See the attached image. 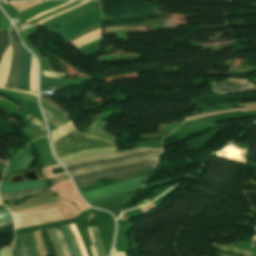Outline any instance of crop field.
Returning a JSON list of instances; mask_svg holds the SVG:
<instances>
[{
    "instance_id": "8",
    "label": "crop field",
    "mask_w": 256,
    "mask_h": 256,
    "mask_svg": "<svg viewBox=\"0 0 256 256\" xmlns=\"http://www.w3.org/2000/svg\"><path fill=\"white\" fill-rule=\"evenodd\" d=\"M146 149H150V148L143 147V148H136V149H133V150L123 151V152L87 155V156H82V157L75 158V159L67 161V162H63L62 164L64 166H66V165L79 163V162H84V161L119 157V156H124V155L130 154V153H133V152L142 151V150H146Z\"/></svg>"
},
{
    "instance_id": "6",
    "label": "crop field",
    "mask_w": 256,
    "mask_h": 256,
    "mask_svg": "<svg viewBox=\"0 0 256 256\" xmlns=\"http://www.w3.org/2000/svg\"><path fill=\"white\" fill-rule=\"evenodd\" d=\"M30 147L27 145L18 151L9 161L5 172H15L20 170H28L33 162V157L29 153Z\"/></svg>"
},
{
    "instance_id": "19",
    "label": "crop field",
    "mask_w": 256,
    "mask_h": 256,
    "mask_svg": "<svg viewBox=\"0 0 256 256\" xmlns=\"http://www.w3.org/2000/svg\"><path fill=\"white\" fill-rule=\"evenodd\" d=\"M75 129V127L72 125L71 122H68L67 124H65L64 126L58 128V129H55L53 132H52V135H53V140L61 137L62 135L68 133L69 131Z\"/></svg>"
},
{
    "instance_id": "31",
    "label": "crop field",
    "mask_w": 256,
    "mask_h": 256,
    "mask_svg": "<svg viewBox=\"0 0 256 256\" xmlns=\"http://www.w3.org/2000/svg\"><path fill=\"white\" fill-rule=\"evenodd\" d=\"M8 219H12L11 214L0 216V222Z\"/></svg>"
},
{
    "instance_id": "4",
    "label": "crop field",
    "mask_w": 256,
    "mask_h": 256,
    "mask_svg": "<svg viewBox=\"0 0 256 256\" xmlns=\"http://www.w3.org/2000/svg\"><path fill=\"white\" fill-rule=\"evenodd\" d=\"M10 37H11V44L13 47V56L10 64L9 76L4 88L18 90L21 52H20L19 43L13 33V30H10Z\"/></svg>"
},
{
    "instance_id": "22",
    "label": "crop field",
    "mask_w": 256,
    "mask_h": 256,
    "mask_svg": "<svg viewBox=\"0 0 256 256\" xmlns=\"http://www.w3.org/2000/svg\"><path fill=\"white\" fill-rule=\"evenodd\" d=\"M31 63H32V68H31V73H30V91H32V70H33V57L31 56ZM33 92L37 93V66L36 62L34 59V71H33Z\"/></svg>"
},
{
    "instance_id": "26",
    "label": "crop field",
    "mask_w": 256,
    "mask_h": 256,
    "mask_svg": "<svg viewBox=\"0 0 256 256\" xmlns=\"http://www.w3.org/2000/svg\"><path fill=\"white\" fill-rule=\"evenodd\" d=\"M44 114L46 118L56 127L63 125L62 122H60L56 117H54L50 112H48L46 109L43 108Z\"/></svg>"
},
{
    "instance_id": "32",
    "label": "crop field",
    "mask_w": 256,
    "mask_h": 256,
    "mask_svg": "<svg viewBox=\"0 0 256 256\" xmlns=\"http://www.w3.org/2000/svg\"><path fill=\"white\" fill-rule=\"evenodd\" d=\"M8 247H4L0 250V256H7Z\"/></svg>"
},
{
    "instance_id": "14",
    "label": "crop field",
    "mask_w": 256,
    "mask_h": 256,
    "mask_svg": "<svg viewBox=\"0 0 256 256\" xmlns=\"http://www.w3.org/2000/svg\"><path fill=\"white\" fill-rule=\"evenodd\" d=\"M43 185H45L43 181H33V182L19 183V184H1L0 194L10 192V191L20 190V189H25V188L43 186Z\"/></svg>"
},
{
    "instance_id": "34",
    "label": "crop field",
    "mask_w": 256,
    "mask_h": 256,
    "mask_svg": "<svg viewBox=\"0 0 256 256\" xmlns=\"http://www.w3.org/2000/svg\"><path fill=\"white\" fill-rule=\"evenodd\" d=\"M9 212L7 211V210H2V211H0V215H2V214H8Z\"/></svg>"
},
{
    "instance_id": "28",
    "label": "crop field",
    "mask_w": 256,
    "mask_h": 256,
    "mask_svg": "<svg viewBox=\"0 0 256 256\" xmlns=\"http://www.w3.org/2000/svg\"><path fill=\"white\" fill-rule=\"evenodd\" d=\"M66 179H69V177L67 176V174L65 175H62V176H59V177H56V178H52V179H49V181L53 184L57 183V182H60V181H63V180H66Z\"/></svg>"
},
{
    "instance_id": "3",
    "label": "crop field",
    "mask_w": 256,
    "mask_h": 256,
    "mask_svg": "<svg viewBox=\"0 0 256 256\" xmlns=\"http://www.w3.org/2000/svg\"><path fill=\"white\" fill-rule=\"evenodd\" d=\"M146 176L135 178V179L125 181L122 183L105 186V187L98 188L95 190L83 192L81 194L84 196L86 201L90 202V201H93V200H96V199H99V198H102V197H105V196H108V195H111L114 193L141 187L144 183Z\"/></svg>"
},
{
    "instance_id": "1",
    "label": "crop field",
    "mask_w": 256,
    "mask_h": 256,
    "mask_svg": "<svg viewBox=\"0 0 256 256\" xmlns=\"http://www.w3.org/2000/svg\"><path fill=\"white\" fill-rule=\"evenodd\" d=\"M57 158L82 150L115 146L114 144L77 132L76 130L52 142Z\"/></svg>"
},
{
    "instance_id": "5",
    "label": "crop field",
    "mask_w": 256,
    "mask_h": 256,
    "mask_svg": "<svg viewBox=\"0 0 256 256\" xmlns=\"http://www.w3.org/2000/svg\"><path fill=\"white\" fill-rule=\"evenodd\" d=\"M213 90L217 93L224 92H239V91H248L255 90L256 87L251 85L248 80L245 79H234L229 78L227 81H223L220 83L212 82Z\"/></svg>"
},
{
    "instance_id": "12",
    "label": "crop field",
    "mask_w": 256,
    "mask_h": 256,
    "mask_svg": "<svg viewBox=\"0 0 256 256\" xmlns=\"http://www.w3.org/2000/svg\"><path fill=\"white\" fill-rule=\"evenodd\" d=\"M99 8H100V3L98 2V3H96L94 5H91V6L87 7V8H84V9L79 10L77 12H74V13H72L70 15H67V16H65V17H63V18H61V19H59V20H57V21H55V22L45 26V27L50 31V30H52V29H54V28H56V27H58L60 25H63V24H65V23H67V22H69L71 20H74V19H76V18H78V17H80L82 15H85V14H87V13L93 11V10L99 9Z\"/></svg>"
},
{
    "instance_id": "21",
    "label": "crop field",
    "mask_w": 256,
    "mask_h": 256,
    "mask_svg": "<svg viewBox=\"0 0 256 256\" xmlns=\"http://www.w3.org/2000/svg\"><path fill=\"white\" fill-rule=\"evenodd\" d=\"M65 256H71L68 245L59 227L54 228Z\"/></svg>"
},
{
    "instance_id": "18",
    "label": "crop field",
    "mask_w": 256,
    "mask_h": 256,
    "mask_svg": "<svg viewBox=\"0 0 256 256\" xmlns=\"http://www.w3.org/2000/svg\"><path fill=\"white\" fill-rule=\"evenodd\" d=\"M57 80L52 79V78H48V77H41V84L47 85V86L58 87V88H61V89L65 88V87L72 86L70 84H67V83L61 82V81H57Z\"/></svg>"
},
{
    "instance_id": "35",
    "label": "crop field",
    "mask_w": 256,
    "mask_h": 256,
    "mask_svg": "<svg viewBox=\"0 0 256 256\" xmlns=\"http://www.w3.org/2000/svg\"><path fill=\"white\" fill-rule=\"evenodd\" d=\"M249 248H251V249H255L256 250V246L255 245H250V247Z\"/></svg>"
},
{
    "instance_id": "25",
    "label": "crop field",
    "mask_w": 256,
    "mask_h": 256,
    "mask_svg": "<svg viewBox=\"0 0 256 256\" xmlns=\"http://www.w3.org/2000/svg\"><path fill=\"white\" fill-rule=\"evenodd\" d=\"M25 120L27 122H29L30 124H32L34 127H36L38 130H40L43 134H45L47 136L45 126H43L42 124L37 122L35 119L30 117L29 115L27 116V118Z\"/></svg>"
},
{
    "instance_id": "40",
    "label": "crop field",
    "mask_w": 256,
    "mask_h": 256,
    "mask_svg": "<svg viewBox=\"0 0 256 256\" xmlns=\"http://www.w3.org/2000/svg\"><path fill=\"white\" fill-rule=\"evenodd\" d=\"M255 234H256V230H255Z\"/></svg>"
},
{
    "instance_id": "16",
    "label": "crop field",
    "mask_w": 256,
    "mask_h": 256,
    "mask_svg": "<svg viewBox=\"0 0 256 256\" xmlns=\"http://www.w3.org/2000/svg\"><path fill=\"white\" fill-rule=\"evenodd\" d=\"M87 230H88L90 239L93 243V245H91L93 256H105L100 238L97 234V230H94V229H87Z\"/></svg>"
},
{
    "instance_id": "9",
    "label": "crop field",
    "mask_w": 256,
    "mask_h": 256,
    "mask_svg": "<svg viewBox=\"0 0 256 256\" xmlns=\"http://www.w3.org/2000/svg\"><path fill=\"white\" fill-rule=\"evenodd\" d=\"M45 192H48V190L45 188V186H43L39 188L25 189V190L2 194L0 195V198H1V202L4 203V202L28 198L41 193H45Z\"/></svg>"
},
{
    "instance_id": "37",
    "label": "crop field",
    "mask_w": 256,
    "mask_h": 256,
    "mask_svg": "<svg viewBox=\"0 0 256 256\" xmlns=\"http://www.w3.org/2000/svg\"><path fill=\"white\" fill-rule=\"evenodd\" d=\"M250 243L256 244V241L252 239Z\"/></svg>"
},
{
    "instance_id": "23",
    "label": "crop field",
    "mask_w": 256,
    "mask_h": 256,
    "mask_svg": "<svg viewBox=\"0 0 256 256\" xmlns=\"http://www.w3.org/2000/svg\"><path fill=\"white\" fill-rule=\"evenodd\" d=\"M43 97L46 98L47 100L53 102L54 104H56L60 109H62V110L67 114V116H66L57 106H55V105L52 104L51 102L47 101V100L44 99ZM41 100H43L44 102H46L47 104H49L51 107H53L56 111H58L61 115H63L66 119H68V120L70 121V119H69V114H68L61 106H59L56 102H54L52 99H50V98H48L47 96L41 94Z\"/></svg>"
},
{
    "instance_id": "2",
    "label": "crop field",
    "mask_w": 256,
    "mask_h": 256,
    "mask_svg": "<svg viewBox=\"0 0 256 256\" xmlns=\"http://www.w3.org/2000/svg\"><path fill=\"white\" fill-rule=\"evenodd\" d=\"M158 158L145 160L137 163H133L126 166L104 169L100 171L89 172L83 175L73 177L77 188L86 184L102 181L105 179L116 178L139 171L154 168L157 164Z\"/></svg>"
},
{
    "instance_id": "30",
    "label": "crop field",
    "mask_w": 256,
    "mask_h": 256,
    "mask_svg": "<svg viewBox=\"0 0 256 256\" xmlns=\"http://www.w3.org/2000/svg\"><path fill=\"white\" fill-rule=\"evenodd\" d=\"M100 38H101V35H100V36H97V37H95V38H93V39H91V40H89V41H87V42H85V43H83V44L77 46V47L80 48V47H82V46H84V45H86V44H88V43H90V42H92V41H94V40H96V39H100Z\"/></svg>"
},
{
    "instance_id": "38",
    "label": "crop field",
    "mask_w": 256,
    "mask_h": 256,
    "mask_svg": "<svg viewBox=\"0 0 256 256\" xmlns=\"http://www.w3.org/2000/svg\"><path fill=\"white\" fill-rule=\"evenodd\" d=\"M220 256H229V255H225V254H222V253H221V255H220Z\"/></svg>"
},
{
    "instance_id": "36",
    "label": "crop field",
    "mask_w": 256,
    "mask_h": 256,
    "mask_svg": "<svg viewBox=\"0 0 256 256\" xmlns=\"http://www.w3.org/2000/svg\"><path fill=\"white\" fill-rule=\"evenodd\" d=\"M117 256H125L124 253H117Z\"/></svg>"
},
{
    "instance_id": "24",
    "label": "crop field",
    "mask_w": 256,
    "mask_h": 256,
    "mask_svg": "<svg viewBox=\"0 0 256 256\" xmlns=\"http://www.w3.org/2000/svg\"><path fill=\"white\" fill-rule=\"evenodd\" d=\"M87 2H89V1H82V2H80V3H78V4L74 5V6H72V7H70V8H68V9H66V10H63V11H61V12H59V13H56V14H54V15L48 17V18H45V19L39 21L38 23L42 24V23L46 22L47 20H49V19H51V18H53V17H55V16L61 15V14L65 13V12H68V11H70V10H72V9H75V8H77V7H79V6L83 5V4H85V3H87ZM40 24H39V25H40Z\"/></svg>"
},
{
    "instance_id": "11",
    "label": "crop field",
    "mask_w": 256,
    "mask_h": 256,
    "mask_svg": "<svg viewBox=\"0 0 256 256\" xmlns=\"http://www.w3.org/2000/svg\"><path fill=\"white\" fill-rule=\"evenodd\" d=\"M160 153H161V152H159V153H154V154L143 155V156H141V157L129 159V160L122 161V162H118V163H114V164H106V165H101V166H90V167H86V168H82V169H79V170L70 172V174H71L72 176H74V175H78V174L85 173V172H89V171H93V170H98V169H104V168H109V167H115V166L126 165V164H130V163H133V162L145 160V159H150V158L159 157Z\"/></svg>"
},
{
    "instance_id": "20",
    "label": "crop field",
    "mask_w": 256,
    "mask_h": 256,
    "mask_svg": "<svg viewBox=\"0 0 256 256\" xmlns=\"http://www.w3.org/2000/svg\"><path fill=\"white\" fill-rule=\"evenodd\" d=\"M8 45H9L8 31L0 29V58Z\"/></svg>"
},
{
    "instance_id": "33",
    "label": "crop field",
    "mask_w": 256,
    "mask_h": 256,
    "mask_svg": "<svg viewBox=\"0 0 256 256\" xmlns=\"http://www.w3.org/2000/svg\"><path fill=\"white\" fill-rule=\"evenodd\" d=\"M12 222H13L12 220L2 222V223H0V227L3 225H6V224L12 223Z\"/></svg>"
},
{
    "instance_id": "15",
    "label": "crop field",
    "mask_w": 256,
    "mask_h": 256,
    "mask_svg": "<svg viewBox=\"0 0 256 256\" xmlns=\"http://www.w3.org/2000/svg\"><path fill=\"white\" fill-rule=\"evenodd\" d=\"M66 226H67L68 230L70 231V233H71V235H72V237H73V239H74V242H75V244H76V246H77V249H78L79 256H82L81 251H80V248H79V246H78V243H77V241H76L75 235H74V233H73V230H72L70 224H68V225H66ZM66 226H62V227H60V228H61V230H62V232H63V234H64V236H65V238H66V240H67V242H68V245H69V248H70V250H71L72 256H78L77 250H76V246H75V244H74V242H73V240H72V238H71V236H70V234H69V232H68Z\"/></svg>"
},
{
    "instance_id": "29",
    "label": "crop field",
    "mask_w": 256,
    "mask_h": 256,
    "mask_svg": "<svg viewBox=\"0 0 256 256\" xmlns=\"http://www.w3.org/2000/svg\"><path fill=\"white\" fill-rule=\"evenodd\" d=\"M0 233H13V223L0 228Z\"/></svg>"
},
{
    "instance_id": "39",
    "label": "crop field",
    "mask_w": 256,
    "mask_h": 256,
    "mask_svg": "<svg viewBox=\"0 0 256 256\" xmlns=\"http://www.w3.org/2000/svg\"><path fill=\"white\" fill-rule=\"evenodd\" d=\"M254 239H256V235H255Z\"/></svg>"
},
{
    "instance_id": "7",
    "label": "crop field",
    "mask_w": 256,
    "mask_h": 256,
    "mask_svg": "<svg viewBox=\"0 0 256 256\" xmlns=\"http://www.w3.org/2000/svg\"><path fill=\"white\" fill-rule=\"evenodd\" d=\"M21 52H22V64L20 68V82L19 90L29 91V73H30V53L24 49L20 42Z\"/></svg>"
},
{
    "instance_id": "27",
    "label": "crop field",
    "mask_w": 256,
    "mask_h": 256,
    "mask_svg": "<svg viewBox=\"0 0 256 256\" xmlns=\"http://www.w3.org/2000/svg\"><path fill=\"white\" fill-rule=\"evenodd\" d=\"M72 2H74V1H69V2H67V3H65V4H63V5H61V6H58V7H56V8H53V9H50V10L45 11V12H43V13H40V14L34 16L33 18L27 20V22H29V21H31V20H33V19H35V18H38V17H40V16H42V15H45V14L51 12V11H54V10H56V9H58V8H61V7L65 6V5H67V4H70V3H72Z\"/></svg>"
},
{
    "instance_id": "17",
    "label": "crop field",
    "mask_w": 256,
    "mask_h": 256,
    "mask_svg": "<svg viewBox=\"0 0 256 256\" xmlns=\"http://www.w3.org/2000/svg\"><path fill=\"white\" fill-rule=\"evenodd\" d=\"M16 256H28L26 239L15 240Z\"/></svg>"
},
{
    "instance_id": "13",
    "label": "crop field",
    "mask_w": 256,
    "mask_h": 256,
    "mask_svg": "<svg viewBox=\"0 0 256 256\" xmlns=\"http://www.w3.org/2000/svg\"><path fill=\"white\" fill-rule=\"evenodd\" d=\"M11 56H12V48L10 45L6 53L3 55L2 62L0 65V88L4 87V84L8 75ZM21 92H24V91H21ZM25 93H29V92H25ZM29 94H32V93H29ZM32 95H36V94H32Z\"/></svg>"
},
{
    "instance_id": "10",
    "label": "crop field",
    "mask_w": 256,
    "mask_h": 256,
    "mask_svg": "<svg viewBox=\"0 0 256 256\" xmlns=\"http://www.w3.org/2000/svg\"><path fill=\"white\" fill-rule=\"evenodd\" d=\"M159 151H161V149H151V150H147V151H144V152L133 153V154H130V155H127V156H124V157H119V158L79 163V164L67 166L66 169L68 170V172H70V171H73V170H76V169H79V168H82V167H85V166H89V165H100V164H106V163H113V162L129 159V158L141 156L143 154L154 153V152H159Z\"/></svg>"
}]
</instances>
